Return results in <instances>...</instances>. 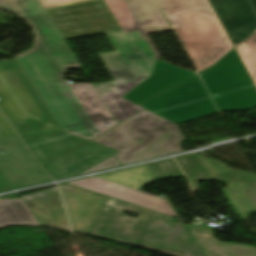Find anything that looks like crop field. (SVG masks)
Here are the masks:
<instances>
[{
	"label": "crop field",
	"instance_id": "obj_1",
	"mask_svg": "<svg viewBox=\"0 0 256 256\" xmlns=\"http://www.w3.org/2000/svg\"><path fill=\"white\" fill-rule=\"evenodd\" d=\"M0 8L25 17L35 27L34 48L16 59L63 130L91 140L116 125L93 84L64 80L68 69L81 65L38 0H0Z\"/></svg>",
	"mask_w": 256,
	"mask_h": 256
},
{
	"label": "crop field",
	"instance_id": "obj_2",
	"mask_svg": "<svg viewBox=\"0 0 256 256\" xmlns=\"http://www.w3.org/2000/svg\"><path fill=\"white\" fill-rule=\"evenodd\" d=\"M124 32L107 34L116 52L99 54L116 81L94 84L119 122L142 110L121 97L151 75L159 52L125 0H104Z\"/></svg>",
	"mask_w": 256,
	"mask_h": 256
},
{
	"label": "crop field",
	"instance_id": "obj_3",
	"mask_svg": "<svg viewBox=\"0 0 256 256\" xmlns=\"http://www.w3.org/2000/svg\"><path fill=\"white\" fill-rule=\"evenodd\" d=\"M182 140L176 125L144 110L93 141L120 152L134 145L117 155L121 165H124L182 151L178 148ZM118 165L119 163L113 155L80 174Z\"/></svg>",
	"mask_w": 256,
	"mask_h": 256
},
{
	"label": "crop field",
	"instance_id": "obj_4",
	"mask_svg": "<svg viewBox=\"0 0 256 256\" xmlns=\"http://www.w3.org/2000/svg\"><path fill=\"white\" fill-rule=\"evenodd\" d=\"M199 68H209L234 46L209 0H158Z\"/></svg>",
	"mask_w": 256,
	"mask_h": 256
},
{
	"label": "crop field",
	"instance_id": "obj_5",
	"mask_svg": "<svg viewBox=\"0 0 256 256\" xmlns=\"http://www.w3.org/2000/svg\"><path fill=\"white\" fill-rule=\"evenodd\" d=\"M184 176L173 159L67 182L169 216H177L167 200L138 191L156 179Z\"/></svg>",
	"mask_w": 256,
	"mask_h": 256
},
{
	"label": "crop field",
	"instance_id": "obj_6",
	"mask_svg": "<svg viewBox=\"0 0 256 256\" xmlns=\"http://www.w3.org/2000/svg\"><path fill=\"white\" fill-rule=\"evenodd\" d=\"M199 74L219 111H240L256 106V86L235 49Z\"/></svg>",
	"mask_w": 256,
	"mask_h": 256
},
{
	"label": "crop field",
	"instance_id": "obj_7",
	"mask_svg": "<svg viewBox=\"0 0 256 256\" xmlns=\"http://www.w3.org/2000/svg\"><path fill=\"white\" fill-rule=\"evenodd\" d=\"M141 106L176 124L217 111L198 76L169 89Z\"/></svg>",
	"mask_w": 256,
	"mask_h": 256
},
{
	"label": "crop field",
	"instance_id": "obj_8",
	"mask_svg": "<svg viewBox=\"0 0 256 256\" xmlns=\"http://www.w3.org/2000/svg\"><path fill=\"white\" fill-rule=\"evenodd\" d=\"M125 212L138 217L126 216ZM155 215L156 212L109 197L89 233L134 245Z\"/></svg>",
	"mask_w": 256,
	"mask_h": 256
},
{
	"label": "crop field",
	"instance_id": "obj_9",
	"mask_svg": "<svg viewBox=\"0 0 256 256\" xmlns=\"http://www.w3.org/2000/svg\"><path fill=\"white\" fill-rule=\"evenodd\" d=\"M136 245L171 256H206L188 227L159 213Z\"/></svg>",
	"mask_w": 256,
	"mask_h": 256
},
{
	"label": "crop field",
	"instance_id": "obj_10",
	"mask_svg": "<svg viewBox=\"0 0 256 256\" xmlns=\"http://www.w3.org/2000/svg\"><path fill=\"white\" fill-rule=\"evenodd\" d=\"M59 185L67 206L72 228L88 233L108 197L66 183Z\"/></svg>",
	"mask_w": 256,
	"mask_h": 256
},
{
	"label": "crop field",
	"instance_id": "obj_11",
	"mask_svg": "<svg viewBox=\"0 0 256 256\" xmlns=\"http://www.w3.org/2000/svg\"><path fill=\"white\" fill-rule=\"evenodd\" d=\"M234 46L256 29V15L247 0H210Z\"/></svg>",
	"mask_w": 256,
	"mask_h": 256
},
{
	"label": "crop field",
	"instance_id": "obj_12",
	"mask_svg": "<svg viewBox=\"0 0 256 256\" xmlns=\"http://www.w3.org/2000/svg\"><path fill=\"white\" fill-rule=\"evenodd\" d=\"M195 73L157 60L152 75L123 97L139 104L187 79Z\"/></svg>",
	"mask_w": 256,
	"mask_h": 256
},
{
	"label": "crop field",
	"instance_id": "obj_13",
	"mask_svg": "<svg viewBox=\"0 0 256 256\" xmlns=\"http://www.w3.org/2000/svg\"><path fill=\"white\" fill-rule=\"evenodd\" d=\"M23 199L42 225L70 230L57 186L28 194Z\"/></svg>",
	"mask_w": 256,
	"mask_h": 256
},
{
	"label": "crop field",
	"instance_id": "obj_14",
	"mask_svg": "<svg viewBox=\"0 0 256 256\" xmlns=\"http://www.w3.org/2000/svg\"><path fill=\"white\" fill-rule=\"evenodd\" d=\"M188 227L207 256H256V248L219 242L212 229Z\"/></svg>",
	"mask_w": 256,
	"mask_h": 256
},
{
	"label": "crop field",
	"instance_id": "obj_15",
	"mask_svg": "<svg viewBox=\"0 0 256 256\" xmlns=\"http://www.w3.org/2000/svg\"><path fill=\"white\" fill-rule=\"evenodd\" d=\"M140 25L147 33L171 30L155 0H127Z\"/></svg>",
	"mask_w": 256,
	"mask_h": 256
},
{
	"label": "crop field",
	"instance_id": "obj_16",
	"mask_svg": "<svg viewBox=\"0 0 256 256\" xmlns=\"http://www.w3.org/2000/svg\"><path fill=\"white\" fill-rule=\"evenodd\" d=\"M10 225L42 226L23 199L0 200V228Z\"/></svg>",
	"mask_w": 256,
	"mask_h": 256
},
{
	"label": "crop field",
	"instance_id": "obj_17",
	"mask_svg": "<svg viewBox=\"0 0 256 256\" xmlns=\"http://www.w3.org/2000/svg\"><path fill=\"white\" fill-rule=\"evenodd\" d=\"M209 170L216 180L221 181H239L245 182L247 185L256 186V174L230 169L219 161L202 157Z\"/></svg>",
	"mask_w": 256,
	"mask_h": 256
},
{
	"label": "crop field",
	"instance_id": "obj_18",
	"mask_svg": "<svg viewBox=\"0 0 256 256\" xmlns=\"http://www.w3.org/2000/svg\"><path fill=\"white\" fill-rule=\"evenodd\" d=\"M177 161L191 181L192 192H199L196 181L215 180L199 154L180 157Z\"/></svg>",
	"mask_w": 256,
	"mask_h": 256
},
{
	"label": "crop field",
	"instance_id": "obj_19",
	"mask_svg": "<svg viewBox=\"0 0 256 256\" xmlns=\"http://www.w3.org/2000/svg\"><path fill=\"white\" fill-rule=\"evenodd\" d=\"M235 49L256 84V31Z\"/></svg>",
	"mask_w": 256,
	"mask_h": 256
},
{
	"label": "crop field",
	"instance_id": "obj_20",
	"mask_svg": "<svg viewBox=\"0 0 256 256\" xmlns=\"http://www.w3.org/2000/svg\"><path fill=\"white\" fill-rule=\"evenodd\" d=\"M40 1L42 2L45 9H47V8L79 3V2L89 1V0H40Z\"/></svg>",
	"mask_w": 256,
	"mask_h": 256
},
{
	"label": "crop field",
	"instance_id": "obj_21",
	"mask_svg": "<svg viewBox=\"0 0 256 256\" xmlns=\"http://www.w3.org/2000/svg\"><path fill=\"white\" fill-rule=\"evenodd\" d=\"M13 189L7 177L0 170V191L11 190Z\"/></svg>",
	"mask_w": 256,
	"mask_h": 256
},
{
	"label": "crop field",
	"instance_id": "obj_22",
	"mask_svg": "<svg viewBox=\"0 0 256 256\" xmlns=\"http://www.w3.org/2000/svg\"><path fill=\"white\" fill-rule=\"evenodd\" d=\"M252 5L254 6L255 10H256V0H250Z\"/></svg>",
	"mask_w": 256,
	"mask_h": 256
},
{
	"label": "crop field",
	"instance_id": "obj_23",
	"mask_svg": "<svg viewBox=\"0 0 256 256\" xmlns=\"http://www.w3.org/2000/svg\"><path fill=\"white\" fill-rule=\"evenodd\" d=\"M1 199V198H0Z\"/></svg>",
	"mask_w": 256,
	"mask_h": 256
}]
</instances>
